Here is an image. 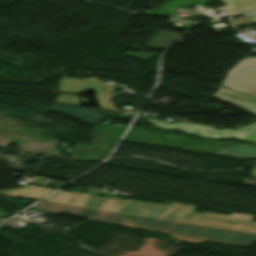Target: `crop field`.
Wrapping results in <instances>:
<instances>
[{"instance_id": "1", "label": "crop field", "mask_w": 256, "mask_h": 256, "mask_svg": "<svg viewBox=\"0 0 256 256\" xmlns=\"http://www.w3.org/2000/svg\"><path fill=\"white\" fill-rule=\"evenodd\" d=\"M29 209L89 218V220L92 221L162 232L166 234H171L170 237H176L181 241H187L196 244L202 241L244 247H252L254 244H256V235L253 234L205 228L163 220L103 212L47 202H41Z\"/></svg>"}, {"instance_id": "2", "label": "crop field", "mask_w": 256, "mask_h": 256, "mask_svg": "<svg viewBox=\"0 0 256 256\" xmlns=\"http://www.w3.org/2000/svg\"><path fill=\"white\" fill-rule=\"evenodd\" d=\"M43 201L179 222L187 210L132 200L59 191Z\"/></svg>"}, {"instance_id": "3", "label": "crop field", "mask_w": 256, "mask_h": 256, "mask_svg": "<svg viewBox=\"0 0 256 256\" xmlns=\"http://www.w3.org/2000/svg\"><path fill=\"white\" fill-rule=\"evenodd\" d=\"M221 86L256 97V58L247 57L234 65Z\"/></svg>"}, {"instance_id": "4", "label": "crop field", "mask_w": 256, "mask_h": 256, "mask_svg": "<svg viewBox=\"0 0 256 256\" xmlns=\"http://www.w3.org/2000/svg\"><path fill=\"white\" fill-rule=\"evenodd\" d=\"M147 120L154 123L156 127H161L166 129L178 128V129H182L185 133L190 135L209 137V138L231 137V138L245 139V140L256 142V129L254 131L244 130L240 128H237L235 130H229V129L216 130L211 127H205V126H199V125H193V124H185V123L170 124L168 122H163V121L153 120L148 118Z\"/></svg>"}, {"instance_id": "5", "label": "crop field", "mask_w": 256, "mask_h": 256, "mask_svg": "<svg viewBox=\"0 0 256 256\" xmlns=\"http://www.w3.org/2000/svg\"><path fill=\"white\" fill-rule=\"evenodd\" d=\"M86 87H95L94 89L96 90V97L99 100V105L102 108L101 110L118 112L115 110L110 101L111 91L115 87V85H106L100 83L97 77L83 80L63 78L61 82L60 92L63 93L76 90H85Z\"/></svg>"}, {"instance_id": "6", "label": "crop field", "mask_w": 256, "mask_h": 256, "mask_svg": "<svg viewBox=\"0 0 256 256\" xmlns=\"http://www.w3.org/2000/svg\"><path fill=\"white\" fill-rule=\"evenodd\" d=\"M50 111L66 114L87 125L96 126L104 120V114L94 110L53 104Z\"/></svg>"}, {"instance_id": "7", "label": "crop field", "mask_w": 256, "mask_h": 256, "mask_svg": "<svg viewBox=\"0 0 256 256\" xmlns=\"http://www.w3.org/2000/svg\"><path fill=\"white\" fill-rule=\"evenodd\" d=\"M256 115V98L221 87L213 96Z\"/></svg>"}, {"instance_id": "8", "label": "crop field", "mask_w": 256, "mask_h": 256, "mask_svg": "<svg viewBox=\"0 0 256 256\" xmlns=\"http://www.w3.org/2000/svg\"><path fill=\"white\" fill-rule=\"evenodd\" d=\"M225 6L219 7L225 10L230 16L256 11V0H220Z\"/></svg>"}, {"instance_id": "9", "label": "crop field", "mask_w": 256, "mask_h": 256, "mask_svg": "<svg viewBox=\"0 0 256 256\" xmlns=\"http://www.w3.org/2000/svg\"><path fill=\"white\" fill-rule=\"evenodd\" d=\"M178 37L179 35L159 30L155 36L145 44V47L151 49H166Z\"/></svg>"}, {"instance_id": "10", "label": "crop field", "mask_w": 256, "mask_h": 256, "mask_svg": "<svg viewBox=\"0 0 256 256\" xmlns=\"http://www.w3.org/2000/svg\"><path fill=\"white\" fill-rule=\"evenodd\" d=\"M216 154L231 155L242 158L256 159V144L253 146L237 144L230 148L215 152Z\"/></svg>"}, {"instance_id": "11", "label": "crop field", "mask_w": 256, "mask_h": 256, "mask_svg": "<svg viewBox=\"0 0 256 256\" xmlns=\"http://www.w3.org/2000/svg\"><path fill=\"white\" fill-rule=\"evenodd\" d=\"M55 103L78 106V98L77 96L62 94L61 96H57Z\"/></svg>"}, {"instance_id": "12", "label": "crop field", "mask_w": 256, "mask_h": 256, "mask_svg": "<svg viewBox=\"0 0 256 256\" xmlns=\"http://www.w3.org/2000/svg\"><path fill=\"white\" fill-rule=\"evenodd\" d=\"M123 55L127 56V57H131V58L137 59V60H141V61H144V62H146L150 58L156 56V55L147 54V53H141V52H136V53H129V52H127V53H125Z\"/></svg>"}, {"instance_id": "13", "label": "crop field", "mask_w": 256, "mask_h": 256, "mask_svg": "<svg viewBox=\"0 0 256 256\" xmlns=\"http://www.w3.org/2000/svg\"><path fill=\"white\" fill-rule=\"evenodd\" d=\"M235 21H236V24H238V23H240V24L256 23V14H253L252 16L237 18V19H235Z\"/></svg>"}, {"instance_id": "14", "label": "crop field", "mask_w": 256, "mask_h": 256, "mask_svg": "<svg viewBox=\"0 0 256 256\" xmlns=\"http://www.w3.org/2000/svg\"><path fill=\"white\" fill-rule=\"evenodd\" d=\"M244 129H250V130H253L254 128H256V122L255 123H252V124H249L245 127H243Z\"/></svg>"}, {"instance_id": "15", "label": "crop field", "mask_w": 256, "mask_h": 256, "mask_svg": "<svg viewBox=\"0 0 256 256\" xmlns=\"http://www.w3.org/2000/svg\"><path fill=\"white\" fill-rule=\"evenodd\" d=\"M253 174H254V176H255V178H256V167H255L254 170H253Z\"/></svg>"}]
</instances>
